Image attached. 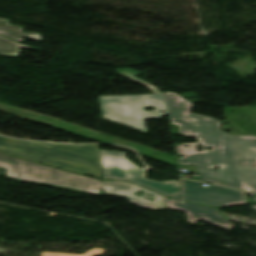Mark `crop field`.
<instances>
[{
	"instance_id": "obj_2",
	"label": "crop field",
	"mask_w": 256,
	"mask_h": 256,
	"mask_svg": "<svg viewBox=\"0 0 256 256\" xmlns=\"http://www.w3.org/2000/svg\"><path fill=\"white\" fill-rule=\"evenodd\" d=\"M0 151L100 178L102 175L99 145H66L0 136Z\"/></svg>"
},
{
	"instance_id": "obj_4",
	"label": "crop field",
	"mask_w": 256,
	"mask_h": 256,
	"mask_svg": "<svg viewBox=\"0 0 256 256\" xmlns=\"http://www.w3.org/2000/svg\"><path fill=\"white\" fill-rule=\"evenodd\" d=\"M98 99L102 118L143 132L144 119H160L167 114L163 94L107 96ZM145 107H153L155 113L145 111Z\"/></svg>"
},
{
	"instance_id": "obj_9",
	"label": "crop field",
	"mask_w": 256,
	"mask_h": 256,
	"mask_svg": "<svg viewBox=\"0 0 256 256\" xmlns=\"http://www.w3.org/2000/svg\"><path fill=\"white\" fill-rule=\"evenodd\" d=\"M10 20L0 18V35L9 37L11 39L22 41L25 38L40 41L39 33H25L22 31L23 27L9 25Z\"/></svg>"
},
{
	"instance_id": "obj_6",
	"label": "crop field",
	"mask_w": 256,
	"mask_h": 256,
	"mask_svg": "<svg viewBox=\"0 0 256 256\" xmlns=\"http://www.w3.org/2000/svg\"><path fill=\"white\" fill-rule=\"evenodd\" d=\"M179 179L181 191L172 197L216 207L247 203L243 192L218 186L206 187L200 182Z\"/></svg>"
},
{
	"instance_id": "obj_11",
	"label": "crop field",
	"mask_w": 256,
	"mask_h": 256,
	"mask_svg": "<svg viewBox=\"0 0 256 256\" xmlns=\"http://www.w3.org/2000/svg\"><path fill=\"white\" fill-rule=\"evenodd\" d=\"M120 70H123V72H120ZM118 74L137 82L138 84L142 85L143 87L147 88L148 90H150L154 93H160L159 90L156 87H154L153 85H151V84H149V83H147V82H145L141 79L133 77L132 75L141 74L137 71H134L130 68H124V69H118Z\"/></svg>"
},
{
	"instance_id": "obj_10",
	"label": "crop field",
	"mask_w": 256,
	"mask_h": 256,
	"mask_svg": "<svg viewBox=\"0 0 256 256\" xmlns=\"http://www.w3.org/2000/svg\"><path fill=\"white\" fill-rule=\"evenodd\" d=\"M20 47L35 50L34 48L20 44L17 41L0 36V55L17 56Z\"/></svg>"
},
{
	"instance_id": "obj_1",
	"label": "crop field",
	"mask_w": 256,
	"mask_h": 256,
	"mask_svg": "<svg viewBox=\"0 0 256 256\" xmlns=\"http://www.w3.org/2000/svg\"><path fill=\"white\" fill-rule=\"evenodd\" d=\"M164 93L169 123L178 125L179 134L196 138L195 143L176 145L177 154L184 156L178 164H197L203 181L256 193V136H230L220 129L221 121L190 114L191 101ZM197 143L203 145L201 152ZM216 166L219 170L213 171Z\"/></svg>"
},
{
	"instance_id": "obj_5",
	"label": "crop field",
	"mask_w": 256,
	"mask_h": 256,
	"mask_svg": "<svg viewBox=\"0 0 256 256\" xmlns=\"http://www.w3.org/2000/svg\"><path fill=\"white\" fill-rule=\"evenodd\" d=\"M103 175L107 179L128 180L168 197L180 191L179 181L158 182L146 179L148 170L136 167L124 152L101 150Z\"/></svg>"
},
{
	"instance_id": "obj_8",
	"label": "crop field",
	"mask_w": 256,
	"mask_h": 256,
	"mask_svg": "<svg viewBox=\"0 0 256 256\" xmlns=\"http://www.w3.org/2000/svg\"><path fill=\"white\" fill-rule=\"evenodd\" d=\"M166 202L169 209L185 211L187 221L191 225L196 224V222L200 219H203L228 231H230L231 228L235 225L216 213L221 209L209 208L205 206L173 200L170 198L166 199Z\"/></svg>"
},
{
	"instance_id": "obj_3",
	"label": "crop field",
	"mask_w": 256,
	"mask_h": 256,
	"mask_svg": "<svg viewBox=\"0 0 256 256\" xmlns=\"http://www.w3.org/2000/svg\"><path fill=\"white\" fill-rule=\"evenodd\" d=\"M0 167L7 169L9 177L102 194V180L14 158L1 153Z\"/></svg>"
},
{
	"instance_id": "obj_7",
	"label": "crop field",
	"mask_w": 256,
	"mask_h": 256,
	"mask_svg": "<svg viewBox=\"0 0 256 256\" xmlns=\"http://www.w3.org/2000/svg\"><path fill=\"white\" fill-rule=\"evenodd\" d=\"M142 189L145 193L141 197H137L132 195L134 191ZM103 190H105L106 195L110 196H117L121 198H125L131 202L133 205L154 209V210H162L168 209L165 199L167 197H163L146 189H143L137 185L131 183H122V182H114V181H103ZM111 191V192H109ZM147 192L154 194L156 200L154 202H150L148 200H144V197H151L147 196Z\"/></svg>"
},
{
	"instance_id": "obj_13",
	"label": "crop field",
	"mask_w": 256,
	"mask_h": 256,
	"mask_svg": "<svg viewBox=\"0 0 256 256\" xmlns=\"http://www.w3.org/2000/svg\"><path fill=\"white\" fill-rule=\"evenodd\" d=\"M251 208H254V209H256V206H251Z\"/></svg>"
},
{
	"instance_id": "obj_12",
	"label": "crop field",
	"mask_w": 256,
	"mask_h": 256,
	"mask_svg": "<svg viewBox=\"0 0 256 256\" xmlns=\"http://www.w3.org/2000/svg\"><path fill=\"white\" fill-rule=\"evenodd\" d=\"M105 249H99V248H94L90 251H88L85 254H80V255H73V254H63V253H52V252H42V255L44 256H94V255H101L103 254Z\"/></svg>"
}]
</instances>
